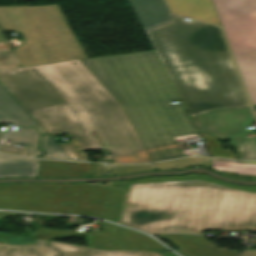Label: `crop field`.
I'll list each match as a JSON object with an SVG mask.
<instances>
[{
	"mask_svg": "<svg viewBox=\"0 0 256 256\" xmlns=\"http://www.w3.org/2000/svg\"><path fill=\"white\" fill-rule=\"evenodd\" d=\"M0 83L52 138L68 134L58 144L73 160L108 149L110 163L152 162L120 104L79 60L0 70Z\"/></svg>",
	"mask_w": 256,
	"mask_h": 256,
	"instance_id": "8a807250",
	"label": "crop field"
},
{
	"mask_svg": "<svg viewBox=\"0 0 256 256\" xmlns=\"http://www.w3.org/2000/svg\"><path fill=\"white\" fill-rule=\"evenodd\" d=\"M191 117L249 105L218 27L171 14L164 0H129Z\"/></svg>",
	"mask_w": 256,
	"mask_h": 256,
	"instance_id": "ac0d7876",
	"label": "crop field"
},
{
	"mask_svg": "<svg viewBox=\"0 0 256 256\" xmlns=\"http://www.w3.org/2000/svg\"><path fill=\"white\" fill-rule=\"evenodd\" d=\"M122 224L151 234L256 231V192L201 181L131 185Z\"/></svg>",
	"mask_w": 256,
	"mask_h": 256,
	"instance_id": "34b2d1b8",
	"label": "crop field"
},
{
	"mask_svg": "<svg viewBox=\"0 0 256 256\" xmlns=\"http://www.w3.org/2000/svg\"><path fill=\"white\" fill-rule=\"evenodd\" d=\"M121 104L153 161L183 157L173 137L196 133L154 51L80 60Z\"/></svg>",
	"mask_w": 256,
	"mask_h": 256,
	"instance_id": "412701ff",
	"label": "crop field"
},
{
	"mask_svg": "<svg viewBox=\"0 0 256 256\" xmlns=\"http://www.w3.org/2000/svg\"><path fill=\"white\" fill-rule=\"evenodd\" d=\"M125 196L87 183L3 184L0 209L83 214L119 224Z\"/></svg>",
	"mask_w": 256,
	"mask_h": 256,
	"instance_id": "f4fd0767",
	"label": "crop field"
},
{
	"mask_svg": "<svg viewBox=\"0 0 256 256\" xmlns=\"http://www.w3.org/2000/svg\"><path fill=\"white\" fill-rule=\"evenodd\" d=\"M0 26L22 33V66L87 58L58 5L0 7Z\"/></svg>",
	"mask_w": 256,
	"mask_h": 256,
	"instance_id": "dd49c442",
	"label": "crop field"
},
{
	"mask_svg": "<svg viewBox=\"0 0 256 256\" xmlns=\"http://www.w3.org/2000/svg\"><path fill=\"white\" fill-rule=\"evenodd\" d=\"M243 78L256 105V0H212Z\"/></svg>",
	"mask_w": 256,
	"mask_h": 256,
	"instance_id": "e52e79f7",
	"label": "crop field"
},
{
	"mask_svg": "<svg viewBox=\"0 0 256 256\" xmlns=\"http://www.w3.org/2000/svg\"><path fill=\"white\" fill-rule=\"evenodd\" d=\"M0 256H162L158 252L116 251L0 233Z\"/></svg>",
	"mask_w": 256,
	"mask_h": 256,
	"instance_id": "d8731c3e",
	"label": "crop field"
},
{
	"mask_svg": "<svg viewBox=\"0 0 256 256\" xmlns=\"http://www.w3.org/2000/svg\"><path fill=\"white\" fill-rule=\"evenodd\" d=\"M103 231L85 233L88 247L116 250H167L154 239L126 228L103 222Z\"/></svg>",
	"mask_w": 256,
	"mask_h": 256,
	"instance_id": "5a996713",
	"label": "crop field"
},
{
	"mask_svg": "<svg viewBox=\"0 0 256 256\" xmlns=\"http://www.w3.org/2000/svg\"><path fill=\"white\" fill-rule=\"evenodd\" d=\"M200 133L220 140L246 135L245 126L254 122L249 107L213 111L193 118Z\"/></svg>",
	"mask_w": 256,
	"mask_h": 256,
	"instance_id": "3316defc",
	"label": "crop field"
},
{
	"mask_svg": "<svg viewBox=\"0 0 256 256\" xmlns=\"http://www.w3.org/2000/svg\"><path fill=\"white\" fill-rule=\"evenodd\" d=\"M158 236V235H157ZM159 237L172 241L183 256H238L239 252L216 249L204 237L188 235H159Z\"/></svg>",
	"mask_w": 256,
	"mask_h": 256,
	"instance_id": "28ad6ade",
	"label": "crop field"
},
{
	"mask_svg": "<svg viewBox=\"0 0 256 256\" xmlns=\"http://www.w3.org/2000/svg\"><path fill=\"white\" fill-rule=\"evenodd\" d=\"M2 122H12L15 126L32 127L41 134L46 133L0 84V123Z\"/></svg>",
	"mask_w": 256,
	"mask_h": 256,
	"instance_id": "d1516ede",
	"label": "crop field"
},
{
	"mask_svg": "<svg viewBox=\"0 0 256 256\" xmlns=\"http://www.w3.org/2000/svg\"><path fill=\"white\" fill-rule=\"evenodd\" d=\"M168 2L175 13L220 25L211 0H168Z\"/></svg>",
	"mask_w": 256,
	"mask_h": 256,
	"instance_id": "22f410ed",
	"label": "crop field"
},
{
	"mask_svg": "<svg viewBox=\"0 0 256 256\" xmlns=\"http://www.w3.org/2000/svg\"><path fill=\"white\" fill-rule=\"evenodd\" d=\"M39 166L37 160L0 154V178L36 177Z\"/></svg>",
	"mask_w": 256,
	"mask_h": 256,
	"instance_id": "cbeb9de0",
	"label": "crop field"
},
{
	"mask_svg": "<svg viewBox=\"0 0 256 256\" xmlns=\"http://www.w3.org/2000/svg\"><path fill=\"white\" fill-rule=\"evenodd\" d=\"M87 176L75 163L42 160L38 177H83Z\"/></svg>",
	"mask_w": 256,
	"mask_h": 256,
	"instance_id": "5142ce71",
	"label": "crop field"
},
{
	"mask_svg": "<svg viewBox=\"0 0 256 256\" xmlns=\"http://www.w3.org/2000/svg\"><path fill=\"white\" fill-rule=\"evenodd\" d=\"M4 139L14 140L13 144L26 145L27 154L31 155V157L35 155L40 157L44 153L38 150L40 134L32 128L18 127L16 132H7Z\"/></svg>",
	"mask_w": 256,
	"mask_h": 256,
	"instance_id": "d9b57169",
	"label": "crop field"
},
{
	"mask_svg": "<svg viewBox=\"0 0 256 256\" xmlns=\"http://www.w3.org/2000/svg\"><path fill=\"white\" fill-rule=\"evenodd\" d=\"M246 129V128H245ZM247 134H256L254 129L246 130ZM231 145L237 152L238 159H256V137L246 136L230 139Z\"/></svg>",
	"mask_w": 256,
	"mask_h": 256,
	"instance_id": "733c2abd",
	"label": "crop field"
},
{
	"mask_svg": "<svg viewBox=\"0 0 256 256\" xmlns=\"http://www.w3.org/2000/svg\"><path fill=\"white\" fill-rule=\"evenodd\" d=\"M155 169L153 164L147 165H135V166H115V165H103V164H95L93 170V176H104L106 174L110 175H120L126 173L137 172L141 170H150ZM111 170V172H108Z\"/></svg>",
	"mask_w": 256,
	"mask_h": 256,
	"instance_id": "4a817a6b",
	"label": "crop field"
},
{
	"mask_svg": "<svg viewBox=\"0 0 256 256\" xmlns=\"http://www.w3.org/2000/svg\"><path fill=\"white\" fill-rule=\"evenodd\" d=\"M190 180H201V181L213 182V183L224 184V185H229V186H234V187H239V188H243V189L256 191V187H247V186H241V185L227 184V183H223V182H220V181L213 180V179H211L207 176H199V175H189V176H183V177L149 178V179L135 180V181H132L131 184L173 182V181H190Z\"/></svg>",
	"mask_w": 256,
	"mask_h": 256,
	"instance_id": "bc2a9ffb",
	"label": "crop field"
},
{
	"mask_svg": "<svg viewBox=\"0 0 256 256\" xmlns=\"http://www.w3.org/2000/svg\"><path fill=\"white\" fill-rule=\"evenodd\" d=\"M40 149L46 151L41 158L72 160L49 134L42 136Z\"/></svg>",
	"mask_w": 256,
	"mask_h": 256,
	"instance_id": "214f88e0",
	"label": "crop field"
},
{
	"mask_svg": "<svg viewBox=\"0 0 256 256\" xmlns=\"http://www.w3.org/2000/svg\"><path fill=\"white\" fill-rule=\"evenodd\" d=\"M19 66H21V64L11 48L0 49V69Z\"/></svg>",
	"mask_w": 256,
	"mask_h": 256,
	"instance_id": "92a150f3",
	"label": "crop field"
},
{
	"mask_svg": "<svg viewBox=\"0 0 256 256\" xmlns=\"http://www.w3.org/2000/svg\"><path fill=\"white\" fill-rule=\"evenodd\" d=\"M201 135L212 156L228 159L224 149L222 148L220 142L217 139L208 137L207 135Z\"/></svg>",
	"mask_w": 256,
	"mask_h": 256,
	"instance_id": "dafd665d",
	"label": "crop field"
},
{
	"mask_svg": "<svg viewBox=\"0 0 256 256\" xmlns=\"http://www.w3.org/2000/svg\"><path fill=\"white\" fill-rule=\"evenodd\" d=\"M0 151L8 152V153H14V154H20V155L24 154L23 149L15 148V147L10 146V145H5V147L1 146Z\"/></svg>",
	"mask_w": 256,
	"mask_h": 256,
	"instance_id": "00972430",
	"label": "crop field"
},
{
	"mask_svg": "<svg viewBox=\"0 0 256 256\" xmlns=\"http://www.w3.org/2000/svg\"><path fill=\"white\" fill-rule=\"evenodd\" d=\"M88 176H92V170L94 164H81L76 163Z\"/></svg>",
	"mask_w": 256,
	"mask_h": 256,
	"instance_id": "a9b5d70f",
	"label": "crop field"
},
{
	"mask_svg": "<svg viewBox=\"0 0 256 256\" xmlns=\"http://www.w3.org/2000/svg\"><path fill=\"white\" fill-rule=\"evenodd\" d=\"M0 42H6L4 37H3V35H2V33H1V31H0Z\"/></svg>",
	"mask_w": 256,
	"mask_h": 256,
	"instance_id": "4177f3b9",
	"label": "crop field"
},
{
	"mask_svg": "<svg viewBox=\"0 0 256 256\" xmlns=\"http://www.w3.org/2000/svg\"><path fill=\"white\" fill-rule=\"evenodd\" d=\"M4 134L3 133H0V141L2 140Z\"/></svg>",
	"mask_w": 256,
	"mask_h": 256,
	"instance_id": "730fd06b",
	"label": "crop field"
},
{
	"mask_svg": "<svg viewBox=\"0 0 256 256\" xmlns=\"http://www.w3.org/2000/svg\"><path fill=\"white\" fill-rule=\"evenodd\" d=\"M254 107V110L256 111V106H253Z\"/></svg>",
	"mask_w": 256,
	"mask_h": 256,
	"instance_id": "eef30255",
	"label": "crop field"
},
{
	"mask_svg": "<svg viewBox=\"0 0 256 256\" xmlns=\"http://www.w3.org/2000/svg\"><path fill=\"white\" fill-rule=\"evenodd\" d=\"M250 163H256V162H250Z\"/></svg>",
	"mask_w": 256,
	"mask_h": 256,
	"instance_id": "ae1a2a85",
	"label": "crop field"
}]
</instances>
